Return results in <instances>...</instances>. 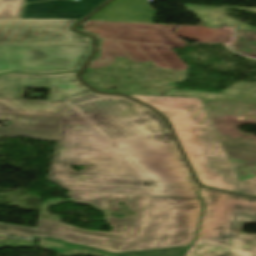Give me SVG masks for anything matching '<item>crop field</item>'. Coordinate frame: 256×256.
<instances>
[{"instance_id":"crop-field-7","label":"crop field","mask_w":256,"mask_h":256,"mask_svg":"<svg viewBox=\"0 0 256 256\" xmlns=\"http://www.w3.org/2000/svg\"><path fill=\"white\" fill-rule=\"evenodd\" d=\"M64 103L0 98V120L12 121L0 128V136L56 140Z\"/></svg>"},{"instance_id":"crop-field-4","label":"crop field","mask_w":256,"mask_h":256,"mask_svg":"<svg viewBox=\"0 0 256 256\" xmlns=\"http://www.w3.org/2000/svg\"><path fill=\"white\" fill-rule=\"evenodd\" d=\"M130 96L154 107L168 119L202 184L256 195V177L238 181L199 98Z\"/></svg>"},{"instance_id":"crop-field-14","label":"crop field","mask_w":256,"mask_h":256,"mask_svg":"<svg viewBox=\"0 0 256 256\" xmlns=\"http://www.w3.org/2000/svg\"><path fill=\"white\" fill-rule=\"evenodd\" d=\"M184 250L185 248H174V249L124 253V254L109 255V256H182Z\"/></svg>"},{"instance_id":"crop-field-5","label":"crop field","mask_w":256,"mask_h":256,"mask_svg":"<svg viewBox=\"0 0 256 256\" xmlns=\"http://www.w3.org/2000/svg\"><path fill=\"white\" fill-rule=\"evenodd\" d=\"M206 210L196 244L186 256H256V235L240 233L256 221V198L203 187Z\"/></svg>"},{"instance_id":"crop-field-1","label":"crop field","mask_w":256,"mask_h":256,"mask_svg":"<svg viewBox=\"0 0 256 256\" xmlns=\"http://www.w3.org/2000/svg\"><path fill=\"white\" fill-rule=\"evenodd\" d=\"M70 197L101 209H116L125 202L135 214L108 218L111 233L84 231L39 219L37 229L0 223V235L56 238L111 252L190 245L195 237L202 205L198 198L71 191Z\"/></svg>"},{"instance_id":"crop-field-13","label":"crop field","mask_w":256,"mask_h":256,"mask_svg":"<svg viewBox=\"0 0 256 256\" xmlns=\"http://www.w3.org/2000/svg\"><path fill=\"white\" fill-rule=\"evenodd\" d=\"M23 5L24 0H0V17H19Z\"/></svg>"},{"instance_id":"crop-field-12","label":"crop field","mask_w":256,"mask_h":256,"mask_svg":"<svg viewBox=\"0 0 256 256\" xmlns=\"http://www.w3.org/2000/svg\"><path fill=\"white\" fill-rule=\"evenodd\" d=\"M147 0H114L88 20L153 24L155 10Z\"/></svg>"},{"instance_id":"crop-field-8","label":"crop field","mask_w":256,"mask_h":256,"mask_svg":"<svg viewBox=\"0 0 256 256\" xmlns=\"http://www.w3.org/2000/svg\"><path fill=\"white\" fill-rule=\"evenodd\" d=\"M78 21L0 20V45L93 44L91 37L70 29Z\"/></svg>"},{"instance_id":"crop-field-2","label":"crop field","mask_w":256,"mask_h":256,"mask_svg":"<svg viewBox=\"0 0 256 256\" xmlns=\"http://www.w3.org/2000/svg\"><path fill=\"white\" fill-rule=\"evenodd\" d=\"M163 195L197 197L198 185L165 121L123 96L68 100Z\"/></svg>"},{"instance_id":"crop-field-3","label":"crop field","mask_w":256,"mask_h":256,"mask_svg":"<svg viewBox=\"0 0 256 256\" xmlns=\"http://www.w3.org/2000/svg\"><path fill=\"white\" fill-rule=\"evenodd\" d=\"M61 121L50 181L66 190L162 195L68 101ZM88 167L74 172L71 165Z\"/></svg>"},{"instance_id":"crop-field-6","label":"crop field","mask_w":256,"mask_h":256,"mask_svg":"<svg viewBox=\"0 0 256 256\" xmlns=\"http://www.w3.org/2000/svg\"><path fill=\"white\" fill-rule=\"evenodd\" d=\"M92 45L0 46V74L79 71Z\"/></svg>"},{"instance_id":"crop-field-10","label":"crop field","mask_w":256,"mask_h":256,"mask_svg":"<svg viewBox=\"0 0 256 256\" xmlns=\"http://www.w3.org/2000/svg\"><path fill=\"white\" fill-rule=\"evenodd\" d=\"M202 101L209 114L211 113L205 102L256 109V103L210 100ZM252 112H256V110L249 112L244 124H256V114H251ZM219 137L224 145V148L230 158V161L235 169L239 180L242 181L247 178L253 177L251 175V172L256 171V142L235 141L229 138L221 136Z\"/></svg>"},{"instance_id":"crop-field-11","label":"crop field","mask_w":256,"mask_h":256,"mask_svg":"<svg viewBox=\"0 0 256 256\" xmlns=\"http://www.w3.org/2000/svg\"><path fill=\"white\" fill-rule=\"evenodd\" d=\"M38 0H25L26 2ZM105 0H55L26 4L22 19H82L94 11Z\"/></svg>"},{"instance_id":"crop-field-9","label":"crop field","mask_w":256,"mask_h":256,"mask_svg":"<svg viewBox=\"0 0 256 256\" xmlns=\"http://www.w3.org/2000/svg\"><path fill=\"white\" fill-rule=\"evenodd\" d=\"M77 73L34 76L12 73L0 76V97L22 98L26 87H52L49 100L65 102L68 98L94 94L77 78Z\"/></svg>"}]
</instances>
